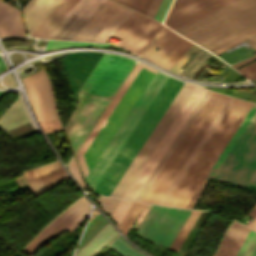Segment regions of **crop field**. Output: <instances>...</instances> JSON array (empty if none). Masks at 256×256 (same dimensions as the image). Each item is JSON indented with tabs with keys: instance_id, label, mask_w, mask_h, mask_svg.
Returning <instances> with one entry per match:
<instances>
[{
	"instance_id": "1",
	"label": "crop field",
	"mask_w": 256,
	"mask_h": 256,
	"mask_svg": "<svg viewBox=\"0 0 256 256\" xmlns=\"http://www.w3.org/2000/svg\"><path fill=\"white\" fill-rule=\"evenodd\" d=\"M215 55L243 42L256 50V0H236L177 30ZM256 59V54L234 65L235 69Z\"/></svg>"
},
{
	"instance_id": "2",
	"label": "crop field",
	"mask_w": 256,
	"mask_h": 256,
	"mask_svg": "<svg viewBox=\"0 0 256 256\" xmlns=\"http://www.w3.org/2000/svg\"><path fill=\"white\" fill-rule=\"evenodd\" d=\"M154 73L155 70L136 63L96 126L77 151L76 157L85 178Z\"/></svg>"
},
{
	"instance_id": "3",
	"label": "crop field",
	"mask_w": 256,
	"mask_h": 256,
	"mask_svg": "<svg viewBox=\"0 0 256 256\" xmlns=\"http://www.w3.org/2000/svg\"><path fill=\"white\" fill-rule=\"evenodd\" d=\"M251 106L235 99L165 205L185 207Z\"/></svg>"
},
{
	"instance_id": "4",
	"label": "crop field",
	"mask_w": 256,
	"mask_h": 256,
	"mask_svg": "<svg viewBox=\"0 0 256 256\" xmlns=\"http://www.w3.org/2000/svg\"><path fill=\"white\" fill-rule=\"evenodd\" d=\"M227 99L212 92L141 201L158 204Z\"/></svg>"
},
{
	"instance_id": "5",
	"label": "crop field",
	"mask_w": 256,
	"mask_h": 256,
	"mask_svg": "<svg viewBox=\"0 0 256 256\" xmlns=\"http://www.w3.org/2000/svg\"><path fill=\"white\" fill-rule=\"evenodd\" d=\"M182 84L183 82L169 77L133 133L130 135L94 189L93 192L95 194L109 196Z\"/></svg>"
},
{
	"instance_id": "6",
	"label": "crop field",
	"mask_w": 256,
	"mask_h": 256,
	"mask_svg": "<svg viewBox=\"0 0 256 256\" xmlns=\"http://www.w3.org/2000/svg\"><path fill=\"white\" fill-rule=\"evenodd\" d=\"M211 179L256 190V112Z\"/></svg>"
},
{
	"instance_id": "7",
	"label": "crop field",
	"mask_w": 256,
	"mask_h": 256,
	"mask_svg": "<svg viewBox=\"0 0 256 256\" xmlns=\"http://www.w3.org/2000/svg\"><path fill=\"white\" fill-rule=\"evenodd\" d=\"M167 79L168 76L156 71L145 90L87 176L86 180L92 191Z\"/></svg>"
},
{
	"instance_id": "8",
	"label": "crop field",
	"mask_w": 256,
	"mask_h": 256,
	"mask_svg": "<svg viewBox=\"0 0 256 256\" xmlns=\"http://www.w3.org/2000/svg\"><path fill=\"white\" fill-rule=\"evenodd\" d=\"M194 88L195 85L183 84L110 196L122 198Z\"/></svg>"
},
{
	"instance_id": "9",
	"label": "crop field",
	"mask_w": 256,
	"mask_h": 256,
	"mask_svg": "<svg viewBox=\"0 0 256 256\" xmlns=\"http://www.w3.org/2000/svg\"><path fill=\"white\" fill-rule=\"evenodd\" d=\"M191 210L153 205L137 235L169 249Z\"/></svg>"
},
{
	"instance_id": "10",
	"label": "crop field",
	"mask_w": 256,
	"mask_h": 256,
	"mask_svg": "<svg viewBox=\"0 0 256 256\" xmlns=\"http://www.w3.org/2000/svg\"><path fill=\"white\" fill-rule=\"evenodd\" d=\"M205 92L206 89L196 86L123 198L134 200Z\"/></svg>"
},
{
	"instance_id": "11",
	"label": "crop field",
	"mask_w": 256,
	"mask_h": 256,
	"mask_svg": "<svg viewBox=\"0 0 256 256\" xmlns=\"http://www.w3.org/2000/svg\"><path fill=\"white\" fill-rule=\"evenodd\" d=\"M134 63L128 58L103 53L80 90L111 98Z\"/></svg>"
},
{
	"instance_id": "12",
	"label": "crop field",
	"mask_w": 256,
	"mask_h": 256,
	"mask_svg": "<svg viewBox=\"0 0 256 256\" xmlns=\"http://www.w3.org/2000/svg\"><path fill=\"white\" fill-rule=\"evenodd\" d=\"M89 210L90 203L82 196L51 221L22 251L32 256L52 237L64 230L74 231L86 220Z\"/></svg>"
},
{
	"instance_id": "13",
	"label": "crop field",
	"mask_w": 256,
	"mask_h": 256,
	"mask_svg": "<svg viewBox=\"0 0 256 256\" xmlns=\"http://www.w3.org/2000/svg\"><path fill=\"white\" fill-rule=\"evenodd\" d=\"M108 101L79 92L76 107L65 127L75 152Z\"/></svg>"
},
{
	"instance_id": "14",
	"label": "crop field",
	"mask_w": 256,
	"mask_h": 256,
	"mask_svg": "<svg viewBox=\"0 0 256 256\" xmlns=\"http://www.w3.org/2000/svg\"><path fill=\"white\" fill-rule=\"evenodd\" d=\"M164 26L133 11L113 36L122 39L118 45L140 54Z\"/></svg>"
},
{
	"instance_id": "15",
	"label": "crop field",
	"mask_w": 256,
	"mask_h": 256,
	"mask_svg": "<svg viewBox=\"0 0 256 256\" xmlns=\"http://www.w3.org/2000/svg\"><path fill=\"white\" fill-rule=\"evenodd\" d=\"M38 122L57 118V111L44 69L22 79Z\"/></svg>"
},
{
	"instance_id": "16",
	"label": "crop field",
	"mask_w": 256,
	"mask_h": 256,
	"mask_svg": "<svg viewBox=\"0 0 256 256\" xmlns=\"http://www.w3.org/2000/svg\"><path fill=\"white\" fill-rule=\"evenodd\" d=\"M192 44L165 27L141 56L170 69ZM155 47H159V51H155Z\"/></svg>"
},
{
	"instance_id": "17",
	"label": "crop field",
	"mask_w": 256,
	"mask_h": 256,
	"mask_svg": "<svg viewBox=\"0 0 256 256\" xmlns=\"http://www.w3.org/2000/svg\"><path fill=\"white\" fill-rule=\"evenodd\" d=\"M105 0H78L46 37L71 39Z\"/></svg>"
},
{
	"instance_id": "18",
	"label": "crop field",
	"mask_w": 256,
	"mask_h": 256,
	"mask_svg": "<svg viewBox=\"0 0 256 256\" xmlns=\"http://www.w3.org/2000/svg\"><path fill=\"white\" fill-rule=\"evenodd\" d=\"M119 6L118 3L106 0L72 39L89 41Z\"/></svg>"
},
{
	"instance_id": "19",
	"label": "crop field",
	"mask_w": 256,
	"mask_h": 256,
	"mask_svg": "<svg viewBox=\"0 0 256 256\" xmlns=\"http://www.w3.org/2000/svg\"><path fill=\"white\" fill-rule=\"evenodd\" d=\"M249 230L233 220L213 256H235Z\"/></svg>"
},
{
	"instance_id": "20",
	"label": "crop field",
	"mask_w": 256,
	"mask_h": 256,
	"mask_svg": "<svg viewBox=\"0 0 256 256\" xmlns=\"http://www.w3.org/2000/svg\"><path fill=\"white\" fill-rule=\"evenodd\" d=\"M59 1L60 0H29L27 2L22 10L26 16L29 34L58 4Z\"/></svg>"
},
{
	"instance_id": "21",
	"label": "crop field",
	"mask_w": 256,
	"mask_h": 256,
	"mask_svg": "<svg viewBox=\"0 0 256 256\" xmlns=\"http://www.w3.org/2000/svg\"><path fill=\"white\" fill-rule=\"evenodd\" d=\"M233 100L234 98L229 97V99L227 100V102L225 103V105L223 106V108L221 109V111L219 112V114L217 115V117L215 118V120L213 121V123L211 124V126L209 127V129L207 130V132L205 133V135L203 136V138L201 139V141L199 142V144L197 145V147L195 148V150L193 151V153L191 154V156L189 157V159L187 160V162L185 163V165L183 166V168L181 169V171L179 172V174L177 175V177L175 178V180L173 181V183L163 196V198L161 199V201L159 202V204L164 205V203L166 202V200L168 199V197L170 196V194L172 193L180 179L183 177V175L185 174V172L187 171V169L189 168V166L191 165V163L193 162V160L195 159V157L197 156V154L199 153V151L201 150V148L203 147V145L205 144V142L207 141V139L209 138V136L211 135V133L213 132V130L215 129V127L225 114V112L227 111V109L229 108V106L231 105V103L233 102Z\"/></svg>"
},
{
	"instance_id": "22",
	"label": "crop field",
	"mask_w": 256,
	"mask_h": 256,
	"mask_svg": "<svg viewBox=\"0 0 256 256\" xmlns=\"http://www.w3.org/2000/svg\"><path fill=\"white\" fill-rule=\"evenodd\" d=\"M210 94V91H207L205 93V95L203 96V98L201 99V101L199 102V104L197 105V107L195 108V110L193 111V113L191 114V116L189 117V119L187 120V122L185 123V125L183 126V128L181 129V131L179 132V134L177 135V137L175 138V140L173 141V143L171 144V146L169 147V149L167 150V152L165 153V155L139 192V194L137 195V197L135 198V200L140 201V199L142 198V196L144 195V193L146 192V190L148 189V187L150 186V184L152 183V181L154 180V178L156 177V175L158 174V172L160 171V169L162 168V166L164 165V163L174 150L175 146L177 145V143L179 142V140L181 139V137L183 136V134L185 133V131L187 130V128L189 127V125L191 124V122L193 121V119L195 118Z\"/></svg>"
},
{
	"instance_id": "23",
	"label": "crop field",
	"mask_w": 256,
	"mask_h": 256,
	"mask_svg": "<svg viewBox=\"0 0 256 256\" xmlns=\"http://www.w3.org/2000/svg\"><path fill=\"white\" fill-rule=\"evenodd\" d=\"M76 1L77 0H62L35 29L32 35L36 37H45Z\"/></svg>"
},
{
	"instance_id": "24",
	"label": "crop field",
	"mask_w": 256,
	"mask_h": 256,
	"mask_svg": "<svg viewBox=\"0 0 256 256\" xmlns=\"http://www.w3.org/2000/svg\"><path fill=\"white\" fill-rule=\"evenodd\" d=\"M255 110L256 104H253V106L251 107V109L249 110V112L247 113V115L245 116V118L243 119V121L241 122V124L239 125V127L237 128V130L235 131V133L233 134V136L223 149V151L221 152L220 156L218 157V159L216 160V162L214 163V165L212 166V168L210 169V171L208 172V174L206 175V177L204 178V180L202 181V183L200 184V186L198 187V189L196 190V192L194 193L186 207L191 208V206L199 196L200 192L202 191V189L204 188V186L206 185V183L208 182V180L210 179V177L212 176V174L214 173V171L216 170V168L218 167V165L220 164V162L222 161V159L224 158V156L226 155V153L228 152V150L230 149V147L232 146V144L234 143V141L236 140V138L238 137V135L240 134V132L242 131V129L244 128V126L246 125V123L248 122V120L250 119Z\"/></svg>"
},
{
	"instance_id": "25",
	"label": "crop field",
	"mask_w": 256,
	"mask_h": 256,
	"mask_svg": "<svg viewBox=\"0 0 256 256\" xmlns=\"http://www.w3.org/2000/svg\"><path fill=\"white\" fill-rule=\"evenodd\" d=\"M117 235L116 230H113L110 224L107 223L75 256H92Z\"/></svg>"
},
{
	"instance_id": "26",
	"label": "crop field",
	"mask_w": 256,
	"mask_h": 256,
	"mask_svg": "<svg viewBox=\"0 0 256 256\" xmlns=\"http://www.w3.org/2000/svg\"><path fill=\"white\" fill-rule=\"evenodd\" d=\"M131 12L121 5L90 41L105 42Z\"/></svg>"
},
{
	"instance_id": "27",
	"label": "crop field",
	"mask_w": 256,
	"mask_h": 256,
	"mask_svg": "<svg viewBox=\"0 0 256 256\" xmlns=\"http://www.w3.org/2000/svg\"><path fill=\"white\" fill-rule=\"evenodd\" d=\"M27 121L21 101L18 98L15 104L0 118V129L5 131Z\"/></svg>"
},
{
	"instance_id": "28",
	"label": "crop field",
	"mask_w": 256,
	"mask_h": 256,
	"mask_svg": "<svg viewBox=\"0 0 256 256\" xmlns=\"http://www.w3.org/2000/svg\"><path fill=\"white\" fill-rule=\"evenodd\" d=\"M9 35L26 36L20 13L0 22V37Z\"/></svg>"
},
{
	"instance_id": "29",
	"label": "crop field",
	"mask_w": 256,
	"mask_h": 256,
	"mask_svg": "<svg viewBox=\"0 0 256 256\" xmlns=\"http://www.w3.org/2000/svg\"><path fill=\"white\" fill-rule=\"evenodd\" d=\"M144 206L145 204L137 202H133V204L131 205L130 209L128 210V212L122 219L121 223L119 224V227L125 235L132 226V224L134 223V221L136 220V218L138 217V215L140 214Z\"/></svg>"
},
{
	"instance_id": "30",
	"label": "crop field",
	"mask_w": 256,
	"mask_h": 256,
	"mask_svg": "<svg viewBox=\"0 0 256 256\" xmlns=\"http://www.w3.org/2000/svg\"><path fill=\"white\" fill-rule=\"evenodd\" d=\"M199 213L200 211L192 210L191 214L189 215L188 219L186 220L185 224L183 225L182 229L180 230L179 234L177 235L176 239L171 245L170 247L171 250L177 251L179 249L180 245L182 244L183 240L188 234L190 228L192 227Z\"/></svg>"
},
{
	"instance_id": "31",
	"label": "crop field",
	"mask_w": 256,
	"mask_h": 256,
	"mask_svg": "<svg viewBox=\"0 0 256 256\" xmlns=\"http://www.w3.org/2000/svg\"><path fill=\"white\" fill-rule=\"evenodd\" d=\"M111 249L117 252L121 256H143L132 249L124 241H122L119 236L107 244Z\"/></svg>"
},
{
	"instance_id": "32",
	"label": "crop field",
	"mask_w": 256,
	"mask_h": 256,
	"mask_svg": "<svg viewBox=\"0 0 256 256\" xmlns=\"http://www.w3.org/2000/svg\"><path fill=\"white\" fill-rule=\"evenodd\" d=\"M255 245H256V233L250 230L247 238L245 239L243 245L241 246L236 256H250Z\"/></svg>"
},
{
	"instance_id": "33",
	"label": "crop field",
	"mask_w": 256,
	"mask_h": 256,
	"mask_svg": "<svg viewBox=\"0 0 256 256\" xmlns=\"http://www.w3.org/2000/svg\"><path fill=\"white\" fill-rule=\"evenodd\" d=\"M76 45L100 46V47H107L108 46V44H102V43H87V42L50 40L46 48L47 49H52V48L76 46Z\"/></svg>"
},
{
	"instance_id": "34",
	"label": "crop field",
	"mask_w": 256,
	"mask_h": 256,
	"mask_svg": "<svg viewBox=\"0 0 256 256\" xmlns=\"http://www.w3.org/2000/svg\"><path fill=\"white\" fill-rule=\"evenodd\" d=\"M131 204L132 202L130 201L121 200L120 204L118 205L117 209L113 213L112 217L110 216L117 226L120 223L123 216L125 215V213L127 212V210L129 209Z\"/></svg>"
},
{
	"instance_id": "35",
	"label": "crop field",
	"mask_w": 256,
	"mask_h": 256,
	"mask_svg": "<svg viewBox=\"0 0 256 256\" xmlns=\"http://www.w3.org/2000/svg\"><path fill=\"white\" fill-rule=\"evenodd\" d=\"M98 201L100 205L104 208V210L109 214V216L112 215L118 203L120 202L119 199L108 198L103 196H100Z\"/></svg>"
},
{
	"instance_id": "36",
	"label": "crop field",
	"mask_w": 256,
	"mask_h": 256,
	"mask_svg": "<svg viewBox=\"0 0 256 256\" xmlns=\"http://www.w3.org/2000/svg\"><path fill=\"white\" fill-rule=\"evenodd\" d=\"M202 48L196 46V45H192L188 51L176 62V64L170 69L176 73H180V71L182 70V68H180L182 66V64L188 59V57L195 51L196 53L198 51H200Z\"/></svg>"
},
{
	"instance_id": "37",
	"label": "crop field",
	"mask_w": 256,
	"mask_h": 256,
	"mask_svg": "<svg viewBox=\"0 0 256 256\" xmlns=\"http://www.w3.org/2000/svg\"><path fill=\"white\" fill-rule=\"evenodd\" d=\"M19 13V11L0 1V21Z\"/></svg>"
},
{
	"instance_id": "38",
	"label": "crop field",
	"mask_w": 256,
	"mask_h": 256,
	"mask_svg": "<svg viewBox=\"0 0 256 256\" xmlns=\"http://www.w3.org/2000/svg\"><path fill=\"white\" fill-rule=\"evenodd\" d=\"M171 2L172 0H162L154 18L162 22L169 9Z\"/></svg>"
},
{
	"instance_id": "39",
	"label": "crop field",
	"mask_w": 256,
	"mask_h": 256,
	"mask_svg": "<svg viewBox=\"0 0 256 256\" xmlns=\"http://www.w3.org/2000/svg\"><path fill=\"white\" fill-rule=\"evenodd\" d=\"M67 167L69 168V170L71 171V173L74 175V177L76 178V180L79 182V184L82 186V188H85V185L81 179L80 173L78 171V168L76 166L75 160L72 157V159L70 160V162L68 163Z\"/></svg>"
},
{
	"instance_id": "40",
	"label": "crop field",
	"mask_w": 256,
	"mask_h": 256,
	"mask_svg": "<svg viewBox=\"0 0 256 256\" xmlns=\"http://www.w3.org/2000/svg\"><path fill=\"white\" fill-rule=\"evenodd\" d=\"M238 72L247 78H256V62L238 70Z\"/></svg>"
},
{
	"instance_id": "41",
	"label": "crop field",
	"mask_w": 256,
	"mask_h": 256,
	"mask_svg": "<svg viewBox=\"0 0 256 256\" xmlns=\"http://www.w3.org/2000/svg\"><path fill=\"white\" fill-rule=\"evenodd\" d=\"M151 1L152 0H136L132 8L145 14Z\"/></svg>"
},
{
	"instance_id": "42",
	"label": "crop field",
	"mask_w": 256,
	"mask_h": 256,
	"mask_svg": "<svg viewBox=\"0 0 256 256\" xmlns=\"http://www.w3.org/2000/svg\"><path fill=\"white\" fill-rule=\"evenodd\" d=\"M160 2L161 0H153L146 14L151 17H154Z\"/></svg>"
},
{
	"instance_id": "43",
	"label": "crop field",
	"mask_w": 256,
	"mask_h": 256,
	"mask_svg": "<svg viewBox=\"0 0 256 256\" xmlns=\"http://www.w3.org/2000/svg\"><path fill=\"white\" fill-rule=\"evenodd\" d=\"M250 216H253L254 218H253L252 222L249 225H247V226H249V227H251V228L256 230V206L254 207V209L250 213Z\"/></svg>"
},
{
	"instance_id": "44",
	"label": "crop field",
	"mask_w": 256,
	"mask_h": 256,
	"mask_svg": "<svg viewBox=\"0 0 256 256\" xmlns=\"http://www.w3.org/2000/svg\"><path fill=\"white\" fill-rule=\"evenodd\" d=\"M135 0H119L118 2L129 7H132Z\"/></svg>"
},
{
	"instance_id": "45",
	"label": "crop field",
	"mask_w": 256,
	"mask_h": 256,
	"mask_svg": "<svg viewBox=\"0 0 256 256\" xmlns=\"http://www.w3.org/2000/svg\"><path fill=\"white\" fill-rule=\"evenodd\" d=\"M3 69H5V66H4V64H3V62H2V60H1V58H0V72H1Z\"/></svg>"
},
{
	"instance_id": "46",
	"label": "crop field",
	"mask_w": 256,
	"mask_h": 256,
	"mask_svg": "<svg viewBox=\"0 0 256 256\" xmlns=\"http://www.w3.org/2000/svg\"><path fill=\"white\" fill-rule=\"evenodd\" d=\"M251 256H256V247H255L253 253L251 254Z\"/></svg>"
},
{
	"instance_id": "47",
	"label": "crop field",
	"mask_w": 256,
	"mask_h": 256,
	"mask_svg": "<svg viewBox=\"0 0 256 256\" xmlns=\"http://www.w3.org/2000/svg\"><path fill=\"white\" fill-rule=\"evenodd\" d=\"M6 92H0V98L5 94Z\"/></svg>"
},
{
	"instance_id": "48",
	"label": "crop field",
	"mask_w": 256,
	"mask_h": 256,
	"mask_svg": "<svg viewBox=\"0 0 256 256\" xmlns=\"http://www.w3.org/2000/svg\"><path fill=\"white\" fill-rule=\"evenodd\" d=\"M114 1H116V2H117V0H114Z\"/></svg>"
}]
</instances>
